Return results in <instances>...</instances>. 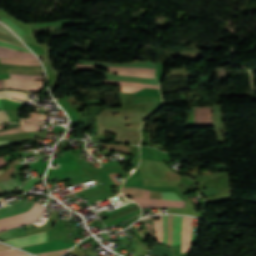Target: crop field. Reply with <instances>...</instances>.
I'll return each instance as SVG.
<instances>
[{
  "label": "crop field",
  "mask_w": 256,
  "mask_h": 256,
  "mask_svg": "<svg viewBox=\"0 0 256 256\" xmlns=\"http://www.w3.org/2000/svg\"><path fill=\"white\" fill-rule=\"evenodd\" d=\"M149 116L133 111L107 110L98 117V132L117 134L115 142L138 145L140 124Z\"/></svg>",
  "instance_id": "obj_1"
},
{
  "label": "crop field",
  "mask_w": 256,
  "mask_h": 256,
  "mask_svg": "<svg viewBox=\"0 0 256 256\" xmlns=\"http://www.w3.org/2000/svg\"><path fill=\"white\" fill-rule=\"evenodd\" d=\"M46 206L35 203L34 207L26 213L18 216L5 218L0 220V231L23 224L33 223L38 220Z\"/></svg>",
  "instance_id": "obj_2"
},
{
  "label": "crop field",
  "mask_w": 256,
  "mask_h": 256,
  "mask_svg": "<svg viewBox=\"0 0 256 256\" xmlns=\"http://www.w3.org/2000/svg\"><path fill=\"white\" fill-rule=\"evenodd\" d=\"M149 191L144 190L143 198L134 197L131 200L136 201L142 208H154V207H176L185 208L184 201H165L158 199H148Z\"/></svg>",
  "instance_id": "obj_3"
},
{
  "label": "crop field",
  "mask_w": 256,
  "mask_h": 256,
  "mask_svg": "<svg viewBox=\"0 0 256 256\" xmlns=\"http://www.w3.org/2000/svg\"><path fill=\"white\" fill-rule=\"evenodd\" d=\"M45 87V82L25 81L8 79L5 80L4 88H16L39 93Z\"/></svg>",
  "instance_id": "obj_4"
},
{
  "label": "crop field",
  "mask_w": 256,
  "mask_h": 256,
  "mask_svg": "<svg viewBox=\"0 0 256 256\" xmlns=\"http://www.w3.org/2000/svg\"><path fill=\"white\" fill-rule=\"evenodd\" d=\"M213 125L211 107H193V126Z\"/></svg>",
  "instance_id": "obj_5"
},
{
  "label": "crop field",
  "mask_w": 256,
  "mask_h": 256,
  "mask_svg": "<svg viewBox=\"0 0 256 256\" xmlns=\"http://www.w3.org/2000/svg\"><path fill=\"white\" fill-rule=\"evenodd\" d=\"M34 203L35 202L20 201L12 206L2 208L0 209V219L29 211Z\"/></svg>",
  "instance_id": "obj_6"
},
{
  "label": "crop field",
  "mask_w": 256,
  "mask_h": 256,
  "mask_svg": "<svg viewBox=\"0 0 256 256\" xmlns=\"http://www.w3.org/2000/svg\"><path fill=\"white\" fill-rule=\"evenodd\" d=\"M192 221L191 217H184L182 228V244L181 253L190 251L191 233H192Z\"/></svg>",
  "instance_id": "obj_7"
},
{
  "label": "crop field",
  "mask_w": 256,
  "mask_h": 256,
  "mask_svg": "<svg viewBox=\"0 0 256 256\" xmlns=\"http://www.w3.org/2000/svg\"><path fill=\"white\" fill-rule=\"evenodd\" d=\"M43 235H44V242H45L47 241V235L45 232L43 233ZM43 235L42 234L37 236L30 235V236H26V237H22V238L10 240V241H5V242L11 245H14L16 247H21V246L43 242Z\"/></svg>",
  "instance_id": "obj_8"
},
{
  "label": "crop field",
  "mask_w": 256,
  "mask_h": 256,
  "mask_svg": "<svg viewBox=\"0 0 256 256\" xmlns=\"http://www.w3.org/2000/svg\"><path fill=\"white\" fill-rule=\"evenodd\" d=\"M11 74L44 75L41 66L10 65Z\"/></svg>",
  "instance_id": "obj_9"
},
{
  "label": "crop field",
  "mask_w": 256,
  "mask_h": 256,
  "mask_svg": "<svg viewBox=\"0 0 256 256\" xmlns=\"http://www.w3.org/2000/svg\"><path fill=\"white\" fill-rule=\"evenodd\" d=\"M0 57L14 58L21 60H37L33 54L18 52L0 47Z\"/></svg>",
  "instance_id": "obj_10"
},
{
  "label": "crop field",
  "mask_w": 256,
  "mask_h": 256,
  "mask_svg": "<svg viewBox=\"0 0 256 256\" xmlns=\"http://www.w3.org/2000/svg\"><path fill=\"white\" fill-rule=\"evenodd\" d=\"M183 216H173V245L181 243V228Z\"/></svg>",
  "instance_id": "obj_11"
},
{
  "label": "crop field",
  "mask_w": 256,
  "mask_h": 256,
  "mask_svg": "<svg viewBox=\"0 0 256 256\" xmlns=\"http://www.w3.org/2000/svg\"><path fill=\"white\" fill-rule=\"evenodd\" d=\"M35 130H40L39 124L25 123V124H21V127L14 128L2 133L4 135V134H10V133L29 132V131H35Z\"/></svg>",
  "instance_id": "obj_12"
},
{
  "label": "crop field",
  "mask_w": 256,
  "mask_h": 256,
  "mask_svg": "<svg viewBox=\"0 0 256 256\" xmlns=\"http://www.w3.org/2000/svg\"><path fill=\"white\" fill-rule=\"evenodd\" d=\"M116 72L120 75H125V76H134V77H145V78H156L154 76V73H149V72H138V71H120V70H109Z\"/></svg>",
  "instance_id": "obj_13"
},
{
  "label": "crop field",
  "mask_w": 256,
  "mask_h": 256,
  "mask_svg": "<svg viewBox=\"0 0 256 256\" xmlns=\"http://www.w3.org/2000/svg\"><path fill=\"white\" fill-rule=\"evenodd\" d=\"M20 184H21L20 179L15 180V179L11 178L10 180H8L6 182L0 183V187L5 193H7L9 191H12V190L18 188L20 186Z\"/></svg>",
  "instance_id": "obj_14"
},
{
  "label": "crop field",
  "mask_w": 256,
  "mask_h": 256,
  "mask_svg": "<svg viewBox=\"0 0 256 256\" xmlns=\"http://www.w3.org/2000/svg\"><path fill=\"white\" fill-rule=\"evenodd\" d=\"M1 21H3L5 24H7L24 42L28 41L23 35H25V33L23 32V30L18 27L16 24H14L13 22H11L10 20H8L6 17H1L0 18Z\"/></svg>",
  "instance_id": "obj_15"
},
{
  "label": "crop field",
  "mask_w": 256,
  "mask_h": 256,
  "mask_svg": "<svg viewBox=\"0 0 256 256\" xmlns=\"http://www.w3.org/2000/svg\"><path fill=\"white\" fill-rule=\"evenodd\" d=\"M161 219L155 220V231L158 242L162 243V235H163V216H160Z\"/></svg>",
  "instance_id": "obj_16"
},
{
  "label": "crop field",
  "mask_w": 256,
  "mask_h": 256,
  "mask_svg": "<svg viewBox=\"0 0 256 256\" xmlns=\"http://www.w3.org/2000/svg\"><path fill=\"white\" fill-rule=\"evenodd\" d=\"M101 145L103 148H106L108 150L129 154V147H126L125 145L119 144V146H117V145L103 144V143H101Z\"/></svg>",
  "instance_id": "obj_17"
},
{
  "label": "crop field",
  "mask_w": 256,
  "mask_h": 256,
  "mask_svg": "<svg viewBox=\"0 0 256 256\" xmlns=\"http://www.w3.org/2000/svg\"><path fill=\"white\" fill-rule=\"evenodd\" d=\"M122 192L125 195V197H128V196L142 197L143 190L138 188H122Z\"/></svg>",
  "instance_id": "obj_18"
},
{
  "label": "crop field",
  "mask_w": 256,
  "mask_h": 256,
  "mask_svg": "<svg viewBox=\"0 0 256 256\" xmlns=\"http://www.w3.org/2000/svg\"><path fill=\"white\" fill-rule=\"evenodd\" d=\"M1 63L20 64V65H40L39 62L20 61V60H13V59H1Z\"/></svg>",
  "instance_id": "obj_19"
},
{
  "label": "crop field",
  "mask_w": 256,
  "mask_h": 256,
  "mask_svg": "<svg viewBox=\"0 0 256 256\" xmlns=\"http://www.w3.org/2000/svg\"><path fill=\"white\" fill-rule=\"evenodd\" d=\"M97 65H76L75 68H83V67H96ZM107 69H124V70H138V71H149L154 72L155 69H142V68H115V67H107Z\"/></svg>",
  "instance_id": "obj_20"
},
{
  "label": "crop field",
  "mask_w": 256,
  "mask_h": 256,
  "mask_svg": "<svg viewBox=\"0 0 256 256\" xmlns=\"http://www.w3.org/2000/svg\"><path fill=\"white\" fill-rule=\"evenodd\" d=\"M46 115L30 113L29 119L20 118L21 121H32V122H41V120H45Z\"/></svg>",
  "instance_id": "obj_21"
},
{
  "label": "crop field",
  "mask_w": 256,
  "mask_h": 256,
  "mask_svg": "<svg viewBox=\"0 0 256 256\" xmlns=\"http://www.w3.org/2000/svg\"><path fill=\"white\" fill-rule=\"evenodd\" d=\"M106 84H115V85H132V86H140V87H147V88H155L159 89L158 86L154 85H144V84H133V83H123V82H114V81H106Z\"/></svg>",
  "instance_id": "obj_22"
},
{
  "label": "crop field",
  "mask_w": 256,
  "mask_h": 256,
  "mask_svg": "<svg viewBox=\"0 0 256 256\" xmlns=\"http://www.w3.org/2000/svg\"><path fill=\"white\" fill-rule=\"evenodd\" d=\"M17 173L18 172L16 171V169L14 167H11L8 171H6L3 175L0 176V182L10 179Z\"/></svg>",
  "instance_id": "obj_23"
},
{
  "label": "crop field",
  "mask_w": 256,
  "mask_h": 256,
  "mask_svg": "<svg viewBox=\"0 0 256 256\" xmlns=\"http://www.w3.org/2000/svg\"><path fill=\"white\" fill-rule=\"evenodd\" d=\"M147 229V235L151 237L152 239H156L155 233H154V227H153V221L152 219L144 223Z\"/></svg>",
  "instance_id": "obj_24"
},
{
  "label": "crop field",
  "mask_w": 256,
  "mask_h": 256,
  "mask_svg": "<svg viewBox=\"0 0 256 256\" xmlns=\"http://www.w3.org/2000/svg\"><path fill=\"white\" fill-rule=\"evenodd\" d=\"M41 181L39 178H34L30 180L23 188L19 189L17 192H28L30 188H32L36 183Z\"/></svg>",
  "instance_id": "obj_25"
},
{
  "label": "crop field",
  "mask_w": 256,
  "mask_h": 256,
  "mask_svg": "<svg viewBox=\"0 0 256 256\" xmlns=\"http://www.w3.org/2000/svg\"><path fill=\"white\" fill-rule=\"evenodd\" d=\"M21 255H27V254L21 253L15 249L0 252V256H21Z\"/></svg>",
  "instance_id": "obj_26"
},
{
  "label": "crop field",
  "mask_w": 256,
  "mask_h": 256,
  "mask_svg": "<svg viewBox=\"0 0 256 256\" xmlns=\"http://www.w3.org/2000/svg\"><path fill=\"white\" fill-rule=\"evenodd\" d=\"M162 199L166 200H182L180 199L176 193H168V192H162Z\"/></svg>",
  "instance_id": "obj_27"
},
{
  "label": "crop field",
  "mask_w": 256,
  "mask_h": 256,
  "mask_svg": "<svg viewBox=\"0 0 256 256\" xmlns=\"http://www.w3.org/2000/svg\"><path fill=\"white\" fill-rule=\"evenodd\" d=\"M10 78H21V79H27V80H43V76L10 75Z\"/></svg>",
  "instance_id": "obj_28"
},
{
  "label": "crop field",
  "mask_w": 256,
  "mask_h": 256,
  "mask_svg": "<svg viewBox=\"0 0 256 256\" xmlns=\"http://www.w3.org/2000/svg\"><path fill=\"white\" fill-rule=\"evenodd\" d=\"M172 240V216H168V242L167 245L171 246Z\"/></svg>",
  "instance_id": "obj_29"
},
{
  "label": "crop field",
  "mask_w": 256,
  "mask_h": 256,
  "mask_svg": "<svg viewBox=\"0 0 256 256\" xmlns=\"http://www.w3.org/2000/svg\"><path fill=\"white\" fill-rule=\"evenodd\" d=\"M0 46H5V47H8V48H12V49H15V50H21V51H24V52H28L29 51L28 49H27L28 50L27 51L26 49H23L21 47L15 46L13 44H10V43H7V42L1 41V40H0Z\"/></svg>",
  "instance_id": "obj_30"
},
{
  "label": "crop field",
  "mask_w": 256,
  "mask_h": 256,
  "mask_svg": "<svg viewBox=\"0 0 256 256\" xmlns=\"http://www.w3.org/2000/svg\"><path fill=\"white\" fill-rule=\"evenodd\" d=\"M0 39L1 40H5V41H9V42H12V43H15V44H18L20 46H23V44L20 41L14 39V38L8 37L6 35H3V34H0Z\"/></svg>",
  "instance_id": "obj_31"
},
{
  "label": "crop field",
  "mask_w": 256,
  "mask_h": 256,
  "mask_svg": "<svg viewBox=\"0 0 256 256\" xmlns=\"http://www.w3.org/2000/svg\"><path fill=\"white\" fill-rule=\"evenodd\" d=\"M121 92H135L141 88L138 87H126V86H120Z\"/></svg>",
  "instance_id": "obj_32"
},
{
  "label": "crop field",
  "mask_w": 256,
  "mask_h": 256,
  "mask_svg": "<svg viewBox=\"0 0 256 256\" xmlns=\"http://www.w3.org/2000/svg\"><path fill=\"white\" fill-rule=\"evenodd\" d=\"M69 250V249H68ZM67 250L64 251H57V252H50V253H45V254H40L41 256H61L64 254Z\"/></svg>",
  "instance_id": "obj_33"
},
{
  "label": "crop field",
  "mask_w": 256,
  "mask_h": 256,
  "mask_svg": "<svg viewBox=\"0 0 256 256\" xmlns=\"http://www.w3.org/2000/svg\"><path fill=\"white\" fill-rule=\"evenodd\" d=\"M167 241V215L164 216V240L163 243L166 244Z\"/></svg>",
  "instance_id": "obj_34"
},
{
  "label": "crop field",
  "mask_w": 256,
  "mask_h": 256,
  "mask_svg": "<svg viewBox=\"0 0 256 256\" xmlns=\"http://www.w3.org/2000/svg\"><path fill=\"white\" fill-rule=\"evenodd\" d=\"M7 113L4 112V111H0V116H6ZM2 122H10V118L9 116H6V117H0V123Z\"/></svg>",
  "instance_id": "obj_35"
},
{
  "label": "crop field",
  "mask_w": 256,
  "mask_h": 256,
  "mask_svg": "<svg viewBox=\"0 0 256 256\" xmlns=\"http://www.w3.org/2000/svg\"><path fill=\"white\" fill-rule=\"evenodd\" d=\"M2 26H3V25H2ZM2 26L0 25V32H1V33L6 34V35H9V36H11V37H14L13 35H11L12 33H11L10 31H9V32H10L11 34H10L4 27H2ZM14 38H15V37H14Z\"/></svg>",
  "instance_id": "obj_36"
},
{
  "label": "crop field",
  "mask_w": 256,
  "mask_h": 256,
  "mask_svg": "<svg viewBox=\"0 0 256 256\" xmlns=\"http://www.w3.org/2000/svg\"><path fill=\"white\" fill-rule=\"evenodd\" d=\"M110 176L116 182L117 185L121 184L120 180L117 178V176L114 173H111Z\"/></svg>",
  "instance_id": "obj_37"
},
{
  "label": "crop field",
  "mask_w": 256,
  "mask_h": 256,
  "mask_svg": "<svg viewBox=\"0 0 256 256\" xmlns=\"http://www.w3.org/2000/svg\"><path fill=\"white\" fill-rule=\"evenodd\" d=\"M11 142L5 141V140H0V146L10 144Z\"/></svg>",
  "instance_id": "obj_38"
},
{
  "label": "crop field",
  "mask_w": 256,
  "mask_h": 256,
  "mask_svg": "<svg viewBox=\"0 0 256 256\" xmlns=\"http://www.w3.org/2000/svg\"><path fill=\"white\" fill-rule=\"evenodd\" d=\"M6 163H5V161L3 160V158H0V167L1 166H3V165H5Z\"/></svg>",
  "instance_id": "obj_39"
},
{
  "label": "crop field",
  "mask_w": 256,
  "mask_h": 256,
  "mask_svg": "<svg viewBox=\"0 0 256 256\" xmlns=\"http://www.w3.org/2000/svg\"><path fill=\"white\" fill-rule=\"evenodd\" d=\"M9 247L3 246L0 244V250L8 249Z\"/></svg>",
  "instance_id": "obj_40"
},
{
  "label": "crop field",
  "mask_w": 256,
  "mask_h": 256,
  "mask_svg": "<svg viewBox=\"0 0 256 256\" xmlns=\"http://www.w3.org/2000/svg\"><path fill=\"white\" fill-rule=\"evenodd\" d=\"M157 217H159V216H157ZM151 218H156V217H151ZM151 218H146V219H143V220H141V221L144 222V221H146V220H148V219H151Z\"/></svg>",
  "instance_id": "obj_41"
},
{
  "label": "crop field",
  "mask_w": 256,
  "mask_h": 256,
  "mask_svg": "<svg viewBox=\"0 0 256 256\" xmlns=\"http://www.w3.org/2000/svg\"><path fill=\"white\" fill-rule=\"evenodd\" d=\"M3 127H4V125H0V129H4ZM0 135H2L1 131H0Z\"/></svg>",
  "instance_id": "obj_42"
},
{
  "label": "crop field",
  "mask_w": 256,
  "mask_h": 256,
  "mask_svg": "<svg viewBox=\"0 0 256 256\" xmlns=\"http://www.w3.org/2000/svg\"><path fill=\"white\" fill-rule=\"evenodd\" d=\"M141 234V233H140ZM143 237H144V239L146 238V236H144L143 234H141Z\"/></svg>",
  "instance_id": "obj_43"
},
{
  "label": "crop field",
  "mask_w": 256,
  "mask_h": 256,
  "mask_svg": "<svg viewBox=\"0 0 256 256\" xmlns=\"http://www.w3.org/2000/svg\"><path fill=\"white\" fill-rule=\"evenodd\" d=\"M0 109H3L2 106H1V104H0Z\"/></svg>",
  "instance_id": "obj_44"
},
{
  "label": "crop field",
  "mask_w": 256,
  "mask_h": 256,
  "mask_svg": "<svg viewBox=\"0 0 256 256\" xmlns=\"http://www.w3.org/2000/svg\"><path fill=\"white\" fill-rule=\"evenodd\" d=\"M0 174H2L1 171H0Z\"/></svg>",
  "instance_id": "obj_45"
}]
</instances>
